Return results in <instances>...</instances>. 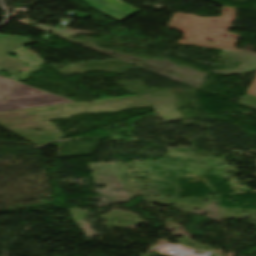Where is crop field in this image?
<instances>
[{"mask_svg":"<svg viewBox=\"0 0 256 256\" xmlns=\"http://www.w3.org/2000/svg\"><path fill=\"white\" fill-rule=\"evenodd\" d=\"M70 102H72V100L47 93L19 82L7 100H0V111Z\"/></svg>","mask_w":256,"mask_h":256,"instance_id":"crop-field-1","label":"crop field"},{"mask_svg":"<svg viewBox=\"0 0 256 256\" xmlns=\"http://www.w3.org/2000/svg\"><path fill=\"white\" fill-rule=\"evenodd\" d=\"M28 40L24 37L0 35V68L16 73L27 67L20 61L7 56V54Z\"/></svg>","mask_w":256,"mask_h":256,"instance_id":"crop-field-2","label":"crop field"},{"mask_svg":"<svg viewBox=\"0 0 256 256\" xmlns=\"http://www.w3.org/2000/svg\"><path fill=\"white\" fill-rule=\"evenodd\" d=\"M18 82L0 77V99L8 97Z\"/></svg>","mask_w":256,"mask_h":256,"instance_id":"crop-field-3","label":"crop field"}]
</instances>
